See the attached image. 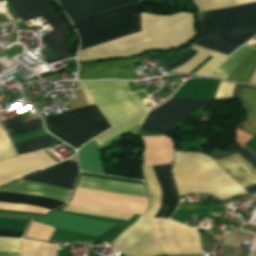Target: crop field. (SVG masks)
Instances as JSON below:
<instances>
[{
  "label": "crop field",
  "mask_w": 256,
  "mask_h": 256,
  "mask_svg": "<svg viewBox=\"0 0 256 256\" xmlns=\"http://www.w3.org/2000/svg\"><path fill=\"white\" fill-rule=\"evenodd\" d=\"M53 230V227L46 226L37 222H32L26 234V237L44 239L48 241Z\"/></svg>",
  "instance_id": "25"
},
{
  "label": "crop field",
  "mask_w": 256,
  "mask_h": 256,
  "mask_svg": "<svg viewBox=\"0 0 256 256\" xmlns=\"http://www.w3.org/2000/svg\"><path fill=\"white\" fill-rule=\"evenodd\" d=\"M221 60L213 58L211 61H209L205 66H203L201 69H199L196 73L198 75L206 76L209 72H211L219 63Z\"/></svg>",
  "instance_id": "29"
},
{
  "label": "crop field",
  "mask_w": 256,
  "mask_h": 256,
  "mask_svg": "<svg viewBox=\"0 0 256 256\" xmlns=\"http://www.w3.org/2000/svg\"><path fill=\"white\" fill-rule=\"evenodd\" d=\"M147 146L145 166L171 163L173 161V144L167 136L143 137Z\"/></svg>",
  "instance_id": "17"
},
{
  "label": "crop field",
  "mask_w": 256,
  "mask_h": 256,
  "mask_svg": "<svg viewBox=\"0 0 256 256\" xmlns=\"http://www.w3.org/2000/svg\"><path fill=\"white\" fill-rule=\"evenodd\" d=\"M201 55V53H197L193 58H191L189 61H187L185 64H183L181 67H179V68H176V69H174V70H171V72H175V71H178V70H180V69H182L183 67H185V66H187L188 64H190L192 61H194L198 56H200Z\"/></svg>",
  "instance_id": "36"
},
{
  "label": "crop field",
  "mask_w": 256,
  "mask_h": 256,
  "mask_svg": "<svg viewBox=\"0 0 256 256\" xmlns=\"http://www.w3.org/2000/svg\"><path fill=\"white\" fill-rule=\"evenodd\" d=\"M146 58L148 57L144 55L136 59L81 66L78 79H139L130 66L138 64Z\"/></svg>",
  "instance_id": "14"
},
{
  "label": "crop field",
  "mask_w": 256,
  "mask_h": 256,
  "mask_svg": "<svg viewBox=\"0 0 256 256\" xmlns=\"http://www.w3.org/2000/svg\"><path fill=\"white\" fill-rule=\"evenodd\" d=\"M208 102L206 100L173 98L150 112L141 130L166 134L177 123Z\"/></svg>",
  "instance_id": "10"
},
{
  "label": "crop field",
  "mask_w": 256,
  "mask_h": 256,
  "mask_svg": "<svg viewBox=\"0 0 256 256\" xmlns=\"http://www.w3.org/2000/svg\"><path fill=\"white\" fill-rule=\"evenodd\" d=\"M256 0H196L201 11L239 5L241 3L253 2Z\"/></svg>",
  "instance_id": "24"
},
{
  "label": "crop field",
  "mask_w": 256,
  "mask_h": 256,
  "mask_svg": "<svg viewBox=\"0 0 256 256\" xmlns=\"http://www.w3.org/2000/svg\"><path fill=\"white\" fill-rule=\"evenodd\" d=\"M253 234L233 229L223 240V244L240 247L243 240L251 241Z\"/></svg>",
  "instance_id": "27"
},
{
  "label": "crop field",
  "mask_w": 256,
  "mask_h": 256,
  "mask_svg": "<svg viewBox=\"0 0 256 256\" xmlns=\"http://www.w3.org/2000/svg\"><path fill=\"white\" fill-rule=\"evenodd\" d=\"M197 52L192 50L188 55H186L185 57H183L182 59L172 63V64H169L167 66H165L167 69L171 70L181 64H183L184 62H186L187 60H189L191 57H193Z\"/></svg>",
  "instance_id": "31"
},
{
  "label": "crop field",
  "mask_w": 256,
  "mask_h": 256,
  "mask_svg": "<svg viewBox=\"0 0 256 256\" xmlns=\"http://www.w3.org/2000/svg\"><path fill=\"white\" fill-rule=\"evenodd\" d=\"M190 48L194 49V50H197L201 53H204V54H208L212 57H215V58H218V59H221L223 60L224 58H226L227 56H224L222 54H219V53H216V52H212V51H209V50H206V49H203L201 47H198V46H195V45H191Z\"/></svg>",
  "instance_id": "30"
},
{
  "label": "crop field",
  "mask_w": 256,
  "mask_h": 256,
  "mask_svg": "<svg viewBox=\"0 0 256 256\" xmlns=\"http://www.w3.org/2000/svg\"><path fill=\"white\" fill-rule=\"evenodd\" d=\"M201 20L203 34L220 37L219 42L240 46L256 34V3L207 12Z\"/></svg>",
  "instance_id": "6"
},
{
  "label": "crop field",
  "mask_w": 256,
  "mask_h": 256,
  "mask_svg": "<svg viewBox=\"0 0 256 256\" xmlns=\"http://www.w3.org/2000/svg\"><path fill=\"white\" fill-rule=\"evenodd\" d=\"M217 40H218L217 38L203 36L201 39L196 41L195 44L201 45L203 47H206L227 55L231 54L235 49L238 48L237 46L216 42Z\"/></svg>",
  "instance_id": "23"
},
{
  "label": "crop field",
  "mask_w": 256,
  "mask_h": 256,
  "mask_svg": "<svg viewBox=\"0 0 256 256\" xmlns=\"http://www.w3.org/2000/svg\"><path fill=\"white\" fill-rule=\"evenodd\" d=\"M79 85H80V87H81V89H82V91H83V93L85 95V98H86L88 104L89 105L95 104L93 99H92V97H91L90 92H88L89 89H88L86 83H81L80 82Z\"/></svg>",
  "instance_id": "34"
},
{
  "label": "crop field",
  "mask_w": 256,
  "mask_h": 256,
  "mask_svg": "<svg viewBox=\"0 0 256 256\" xmlns=\"http://www.w3.org/2000/svg\"><path fill=\"white\" fill-rule=\"evenodd\" d=\"M156 241L168 255L198 254L200 242L197 230L164 219H151Z\"/></svg>",
  "instance_id": "8"
},
{
  "label": "crop field",
  "mask_w": 256,
  "mask_h": 256,
  "mask_svg": "<svg viewBox=\"0 0 256 256\" xmlns=\"http://www.w3.org/2000/svg\"><path fill=\"white\" fill-rule=\"evenodd\" d=\"M149 112L150 111L148 110V111L144 112L143 114H141V115H139V116H137L133 119L128 120L125 123H122V124L112 128V129H110L109 131L99 135L94 140L99 145V144L111 139L112 137L116 136L117 134H119V133H121V132H123V131L141 123V122H144Z\"/></svg>",
  "instance_id": "22"
},
{
  "label": "crop field",
  "mask_w": 256,
  "mask_h": 256,
  "mask_svg": "<svg viewBox=\"0 0 256 256\" xmlns=\"http://www.w3.org/2000/svg\"><path fill=\"white\" fill-rule=\"evenodd\" d=\"M208 55L202 54L200 57H198L193 63H191L186 68L178 71V72H187L189 73L191 70H193L198 64H200L205 58H207Z\"/></svg>",
  "instance_id": "33"
},
{
  "label": "crop field",
  "mask_w": 256,
  "mask_h": 256,
  "mask_svg": "<svg viewBox=\"0 0 256 256\" xmlns=\"http://www.w3.org/2000/svg\"><path fill=\"white\" fill-rule=\"evenodd\" d=\"M256 50L255 46L244 45L231 55L222 65L215 69L210 76L225 79L229 76L248 56ZM256 69V51L248 57L229 77L226 79L249 83Z\"/></svg>",
  "instance_id": "13"
},
{
  "label": "crop field",
  "mask_w": 256,
  "mask_h": 256,
  "mask_svg": "<svg viewBox=\"0 0 256 256\" xmlns=\"http://www.w3.org/2000/svg\"><path fill=\"white\" fill-rule=\"evenodd\" d=\"M79 0H59L61 4ZM140 0H84L62 5L73 22L98 11L114 8Z\"/></svg>",
  "instance_id": "15"
},
{
  "label": "crop field",
  "mask_w": 256,
  "mask_h": 256,
  "mask_svg": "<svg viewBox=\"0 0 256 256\" xmlns=\"http://www.w3.org/2000/svg\"><path fill=\"white\" fill-rule=\"evenodd\" d=\"M3 126L11 138L42 127L43 121L39 118L27 122L20 118L5 122ZM3 126L0 123V159L17 155V153L21 155L45 149L49 146L50 135H47L13 144L17 151L16 153ZM55 163L57 162L43 151L0 161V185Z\"/></svg>",
  "instance_id": "3"
},
{
  "label": "crop field",
  "mask_w": 256,
  "mask_h": 256,
  "mask_svg": "<svg viewBox=\"0 0 256 256\" xmlns=\"http://www.w3.org/2000/svg\"><path fill=\"white\" fill-rule=\"evenodd\" d=\"M79 187L143 197L140 186L136 184L84 177Z\"/></svg>",
  "instance_id": "18"
},
{
  "label": "crop field",
  "mask_w": 256,
  "mask_h": 256,
  "mask_svg": "<svg viewBox=\"0 0 256 256\" xmlns=\"http://www.w3.org/2000/svg\"><path fill=\"white\" fill-rule=\"evenodd\" d=\"M69 204L142 215L147 205V199L76 188Z\"/></svg>",
  "instance_id": "11"
},
{
  "label": "crop field",
  "mask_w": 256,
  "mask_h": 256,
  "mask_svg": "<svg viewBox=\"0 0 256 256\" xmlns=\"http://www.w3.org/2000/svg\"><path fill=\"white\" fill-rule=\"evenodd\" d=\"M233 83L220 81L218 91L214 99H232Z\"/></svg>",
  "instance_id": "28"
},
{
  "label": "crop field",
  "mask_w": 256,
  "mask_h": 256,
  "mask_svg": "<svg viewBox=\"0 0 256 256\" xmlns=\"http://www.w3.org/2000/svg\"><path fill=\"white\" fill-rule=\"evenodd\" d=\"M88 84L96 105L111 127L146 110L137 94L130 92L128 83ZM96 105L45 118L46 128L77 148L89 138L110 128Z\"/></svg>",
  "instance_id": "2"
},
{
  "label": "crop field",
  "mask_w": 256,
  "mask_h": 256,
  "mask_svg": "<svg viewBox=\"0 0 256 256\" xmlns=\"http://www.w3.org/2000/svg\"><path fill=\"white\" fill-rule=\"evenodd\" d=\"M78 172V163L64 161L24 180L38 181L72 189ZM24 180H20L10 186L0 188V191L37 194L64 202L67 201L71 192L70 189ZM7 192H0V201L37 205L50 210L65 204L64 202L37 195Z\"/></svg>",
  "instance_id": "5"
},
{
  "label": "crop field",
  "mask_w": 256,
  "mask_h": 256,
  "mask_svg": "<svg viewBox=\"0 0 256 256\" xmlns=\"http://www.w3.org/2000/svg\"><path fill=\"white\" fill-rule=\"evenodd\" d=\"M180 196L187 193H210L219 199L247 193L207 155L175 152L172 169Z\"/></svg>",
  "instance_id": "4"
},
{
  "label": "crop field",
  "mask_w": 256,
  "mask_h": 256,
  "mask_svg": "<svg viewBox=\"0 0 256 256\" xmlns=\"http://www.w3.org/2000/svg\"><path fill=\"white\" fill-rule=\"evenodd\" d=\"M81 171L103 174L100 163V148L92 140L78 151Z\"/></svg>",
  "instance_id": "21"
},
{
  "label": "crop field",
  "mask_w": 256,
  "mask_h": 256,
  "mask_svg": "<svg viewBox=\"0 0 256 256\" xmlns=\"http://www.w3.org/2000/svg\"><path fill=\"white\" fill-rule=\"evenodd\" d=\"M245 147L250 149L256 154V135L244 144Z\"/></svg>",
  "instance_id": "35"
},
{
  "label": "crop field",
  "mask_w": 256,
  "mask_h": 256,
  "mask_svg": "<svg viewBox=\"0 0 256 256\" xmlns=\"http://www.w3.org/2000/svg\"><path fill=\"white\" fill-rule=\"evenodd\" d=\"M239 98H243L250 117H246L237 128L254 136L256 134V88L243 85Z\"/></svg>",
  "instance_id": "20"
},
{
  "label": "crop field",
  "mask_w": 256,
  "mask_h": 256,
  "mask_svg": "<svg viewBox=\"0 0 256 256\" xmlns=\"http://www.w3.org/2000/svg\"><path fill=\"white\" fill-rule=\"evenodd\" d=\"M64 209L71 210V211L104 215V216L118 217V218H124V219H128L130 216H132L131 214H126L122 212H111L106 210L84 208V207H78V206H72V205H69ZM36 221L47 224V225L59 227L65 230L84 233V234H90L95 236H100L101 234L105 233L110 228L116 225V224L101 222L97 220L58 213V212H54Z\"/></svg>",
  "instance_id": "9"
},
{
  "label": "crop field",
  "mask_w": 256,
  "mask_h": 256,
  "mask_svg": "<svg viewBox=\"0 0 256 256\" xmlns=\"http://www.w3.org/2000/svg\"><path fill=\"white\" fill-rule=\"evenodd\" d=\"M250 84L256 85V71H255V73H254V75H253V77H252V79L250 81Z\"/></svg>",
  "instance_id": "37"
},
{
  "label": "crop field",
  "mask_w": 256,
  "mask_h": 256,
  "mask_svg": "<svg viewBox=\"0 0 256 256\" xmlns=\"http://www.w3.org/2000/svg\"><path fill=\"white\" fill-rule=\"evenodd\" d=\"M40 39L59 56L44 60L47 64L72 58L67 47L68 39L62 25Z\"/></svg>",
  "instance_id": "19"
},
{
  "label": "crop field",
  "mask_w": 256,
  "mask_h": 256,
  "mask_svg": "<svg viewBox=\"0 0 256 256\" xmlns=\"http://www.w3.org/2000/svg\"><path fill=\"white\" fill-rule=\"evenodd\" d=\"M10 2L23 21L42 17L54 29L63 24L44 0H10Z\"/></svg>",
  "instance_id": "16"
},
{
  "label": "crop field",
  "mask_w": 256,
  "mask_h": 256,
  "mask_svg": "<svg viewBox=\"0 0 256 256\" xmlns=\"http://www.w3.org/2000/svg\"><path fill=\"white\" fill-rule=\"evenodd\" d=\"M161 188V204L160 203V189L159 185L154 173V170ZM150 166V167H142V171L144 173L146 184L151 191L150 199L151 204L149 209L144 213L142 218H150L153 217H169L171 212L177 205L178 195L176 192L175 185L173 184L170 176V167L171 164L168 165H160V166Z\"/></svg>",
  "instance_id": "7"
},
{
  "label": "crop field",
  "mask_w": 256,
  "mask_h": 256,
  "mask_svg": "<svg viewBox=\"0 0 256 256\" xmlns=\"http://www.w3.org/2000/svg\"><path fill=\"white\" fill-rule=\"evenodd\" d=\"M253 255H256V250H255V252H254V254Z\"/></svg>",
  "instance_id": "39"
},
{
  "label": "crop field",
  "mask_w": 256,
  "mask_h": 256,
  "mask_svg": "<svg viewBox=\"0 0 256 256\" xmlns=\"http://www.w3.org/2000/svg\"><path fill=\"white\" fill-rule=\"evenodd\" d=\"M21 239H1L0 251L20 252ZM0 252V256H19L20 253Z\"/></svg>",
  "instance_id": "26"
},
{
  "label": "crop field",
  "mask_w": 256,
  "mask_h": 256,
  "mask_svg": "<svg viewBox=\"0 0 256 256\" xmlns=\"http://www.w3.org/2000/svg\"><path fill=\"white\" fill-rule=\"evenodd\" d=\"M181 256H201V255H181Z\"/></svg>",
  "instance_id": "38"
},
{
  "label": "crop field",
  "mask_w": 256,
  "mask_h": 256,
  "mask_svg": "<svg viewBox=\"0 0 256 256\" xmlns=\"http://www.w3.org/2000/svg\"><path fill=\"white\" fill-rule=\"evenodd\" d=\"M22 235H23V231L0 229V236H8V237L21 238Z\"/></svg>",
  "instance_id": "32"
},
{
  "label": "crop field",
  "mask_w": 256,
  "mask_h": 256,
  "mask_svg": "<svg viewBox=\"0 0 256 256\" xmlns=\"http://www.w3.org/2000/svg\"><path fill=\"white\" fill-rule=\"evenodd\" d=\"M238 152L243 158H245L255 169H256V157L251 154L244 147L238 151L232 152L230 154ZM238 153L215 160V162L224 169L235 181H237L242 187L256 183V170ZM244 189L250 193L256 191V184L244 187Z\"/></svg>",
  "instance_id": "12"
},
{
  "label": "crop field",
  "mask_w": 256,
  "mask_h": 256,
  "mask_svg": "<svg viewBox=\"0 0 256 256\" xmlns=\"http://www.w3.org/2000/svg\"><path fill=\"white\" fill-rule=\"evenodd\" d=\"M141 3L142 1L114 8L73 22L81 38L80 50L116 37L140 32ZM141 24L140 33L79 50L78 60L127 56L148 48L174 47L195 35L190 13L170 16L141 13Z\"/></svg>",
  "instance_id": "1"
}]
</instances>
